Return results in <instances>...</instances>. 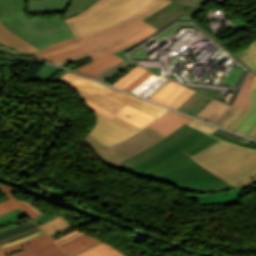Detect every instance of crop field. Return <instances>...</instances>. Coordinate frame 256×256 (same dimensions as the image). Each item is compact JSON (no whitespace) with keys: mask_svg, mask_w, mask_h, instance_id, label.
<instances>
[{"mask_svg":"<svg viewBox=\"0 0 256 256\" xmlns=\"http://www.w3.org/2000/svg\"><path fill=\"white\" fill-rule=\"evenodd\" d=\"M80 234H82V232H80L78 230H75V231H73V232H71V233H69V234H67V235H65V236H63V237H61L57 240H54V241L59 245V244H61L63 242H66V241H68V240H70V239H72V238H74V237H76Z\"/></svg>","mask_w":256,"mask_h":256,"instance_id":"crop-field-47","label":"crop field"},{"mask_svg":"<svg viewBox=\"0 0 256 256\" xmlns=\"http://www.w3.org/2000/svg\"><path fill=\"white\" fill-rule=\"evenodd\" d=\"M56 216H58V215L49 216V215L45 214V215H43V216H41V217H39V218H37L33 221L36 222L38 225H40V224H42V223H44V222H46V221H48V220H50V219H52Z\"/></svg>","mask_w":256,"mask_h":256,"instance_id":"crop-field-53","label":"crop field"},{"mask_svg":"<svg viewBox=\"0 0 256 256\" xmlns=\"http://www.w3.org/2000/svg\"><path fill=\"white\" fill-rule=\"evenodd\" d=\"M112 0H98L97 2H95L93 5H91L89 8H87L86 10H84L82 13L71 17V18H67L65 19L66 23L74 21L76 19L85 17L93 12H95L96 10L106 6L108 3H110Z\"/></svg>","mask_w":256,"mask_h":256,"instance_id":"crop-field-35","label":"crop field"},{"mask_svg":"<svg viewBox=\"0 0 256 256\" xmlns=\"http://www.w3.org/2000/svg\"><path fill=\"white\" fill-rule=\"evenodd\" d=\"M192 120V118L183 116L169 110L161 118H159L148 127L152 128L153 130L166 137L183 123L186 122L189 124Z\"/></svg>","mask_w":256,"mask_h":256,"instance_id":"crop-field-16","label":"crop field"},{"mask_svg":"<svg viewBox=\"0 0 256 256\" xmlns=\"http://www.w3.org/2000/svg\"><path fill=\"white\" fill-rule=\"evenodd\" d=\"M184 88L185 86L183 85H180L176 82L169 81L149 98L154 99L167 106L169 102L174 97H176Z\"/></svg>","mask_w":256,"mask_h":256,"instance_id":"crop-field-22","label":"crop field"},{"mask_svg":"<svg viewBox=\"0 0 256 256\" xmlns=\"http://www.w3.org/2000/svg\"><path fill=\"white\" fill-rule=\"evenodd\" d=\"M175 1H180V2H183V3H186V4L202 6L208 0H175ZM213 1H215V0H213Z\"/></svg>","mask_w":256,"mask_h":256,"instance_id":"crop-field-51","label":"crop field"},{"mask_svg":"<svg viewBox=\"0 0 256 256\" xmlns=\"http://www.w3.org/2000/svg\"><path fill=\"white\" fill-rule=\"evenodd\" d=\"M94 113L97 116V123L89 134L107 146L113 145L141 130L115 115L110 120L95 111Z\"/></svg>","mask_w":256,"mask_h":256,"instance_id":"crop-field-9","label":"crop field"},{"mask_svg":"<svg viewBox=\"0 0 256 256\" xmlns=\"http://www.w3.org/2000/svg\"><path fill=\"white\" fill-rule=\"evenodd\" d=\"M242 109L238 108L236 112L228 119V121L223 125V127H227L229 123L237 116V114L241 111Z\"/></svg>","mask_w":256,"mask_h":256,"instance_id":"crop-field-57","label":"crop field"},{"mask_svg":"<svg viewBox=\"0 0 256 256\" xmlns=\"http://www.w3.org/2000/svg\"><path fill=\"white\" fill-rule=\"evenodd\" d=\"M211 135H213V136H215V137H218V138H220V139H225V140H227V141H229V142H235V143H238V144L246 145V144H244V143H241V142L236 141V140H234V139L228 138V137L223 136V135H221V134H218V133H216V132H214V133L211 134ZM246 146H248V145H246Z\"/></svg>","mask_w":256,"mask_h":256,"instance_id":"crop-field-54","label":"crop field"},{"mask_svg":"<svg viewBox=\"0 0 256 256\" xmlns=\"http://www.w3.org/2000/svg\"><path fill=\"white\" fill-rule=\"evenodd\" d=\"M24 216H26V214L21 212L19 214H16V215H13L11 217H8V218H5L3 220H0V227L5 225V224H7V223H9V222H12V221H15L17 219H20V218H22Z\"/></svg>","mask_w":256,"mask_h":256,"instance_id":"crop-field-48","label":"crop field"},{"mask_svg":"<svg viewBox=\"0 0 256 256\" xmlns=\"http://www.w3.org/2000/svg\"><path fill=\"white\" fill-rule=\"evenodd\" d=\"M1 23L6 26L8 29H10L12 32L16 33L17 35L21 36L25 40H27L29 43H34L38 39L33 37L31 34H29L26 30H24L18 23H16L10 16L6 17H0ZM15 34V35H16ZM20 37V38H21ZM23 39V40H24Z\"/></svg>","mask_w":256,"mask_h":256,"instance_id":"crop-field-29","label":"crop field"},{"mask_svg":"<svg viewBox=\"0 0 256 256\" xmlns=\"http://www.w3.org/2000/svg\"><path fill=\"white\" fill-rule=\"evenodd\" d=\"M246 136L256 139V123L254 126L248 131Z\"/></svg>","mask_w":256,"mask_h":256,"instance_id":"crop-field-56","label":"crop field"},{"mask_svg":"<svg viewBox=\"0 0 256 256\" xmlns=\"http://www.w3.org/2000/svg\"><path fill=\"white\" fill-rule=\"evenodd\" d=\"M256 122V77L245 110L230 123L227 129L245 135Z\"/></svg>","mask_w":256,"mask_h":256,"instance_id":"crop-field-13","label":"crop field"},{"mask_svg":"<svg viewBox=\"0 0 256 256\" xmlns=\"http://www.w3.org/2000/svg\"><path fill=\"white\" fill-rule=\"evenodd\" d=\"M99 239L82 234L66 243H63L59 245L65 252H67L69 255L98 241Z\"/></svg>","mask_w":256,"mask_h":256,"instance_id":"crop-field-26","label":"crop field"},{"mask_svg":"<svg viewBox=\"0 0 256 256\" xmlns=\"http://www.w3.org/2000/svg\"><path fill=\"white\" fill-rule=\"evenodd\" d=\"M102 243L103 242L100 240V241H98V242H96V243H94V244H92V245H90V246H88V247H86V248H84V249H82V250H80V251L70 255V256H78V255H80V254H82V253H84V252H86V251H88V250H90V249H92V248L102 244Z\"/></svg>","mask_w":256,"mask_h":256,"instance_id":"crop-field-52","label":"crop field"},{"mask_svg":"<svg viewBox=\"0 0 256 256\" xmlns=\"http://www.w3.org/2000/svg\"><path fill=\"white\" fill-rule=\"evenodd\" d=\"M29 33L40 39L32 44L39 50L58 41L74 37L68 25L59 17H33L27 19L24 13L11 15Z\"/></svg>","mask_w":256,"mask_h":256,"instance_id":"crop-field-6","label":"crop field"},{"mask_svg":"<svg viewBox=\"0 0 256 256\" xmlns=\"http://www.w3.org/2000/svg\"><path fill=\"white\" fill-rule=\"evenodd\" d=\"M0 42L30 54H34L37 51H39L38 49L33 47L31 44H29L19 36L9 31L1 23H0Z\"/></svg>","mask_w":256,"mask_h":256,"instance_id":"crop-field-18","label":"crop field"},{"mask_svg":"<svg viewBox=\"0 0 256 256\" xmlns=\"http://www.w3.org/2000/svg\"><path fill=\"white\" fill-rule=\"evenodd\" d=\"M243 194V188L220 194L188 195L190 200L197 199L200 204L225 203L235 201Z\"/></svg>","mask_w":256,"mask_h":256,"instance_id":"crop-field-21","label":"crop field"},{"mask_svg":"<svg viewBox=\"0 0 256 256\" xmlns=\"http://www.w3.org/2000/svg\"><path fill=\"white\" fill-rule=\"evenodd\" d=\"M123 60L124 59L112 54L104 59H101L97 62L87 65V66L80 68L76 71L94 78L97 75L104 72L105 70L109 69L110 67L116 65L117 63H119Z\"/></svg>","mask_w":256,"mask_h":256,"instance_id":"crop-field-19","label":"crop field"},{"mask_svg":"<svg viewBox=\"0 0 256 256\" xmlns=\"http://www.w3.org/2000/svg\"><path fill=\"white\" fill-rule=\"evenodd\" d=\"M115 115L123 118L124 120L132 123L133 125L141 129L156 119L127 105H125Z\"/></svg>","mask_w":256,"mask_h":256,"instance_id":"crop-field-20","label":"crop field"},{"mask_svg":"<svg viewBox=\"0 0 256 256\" xmlns=\"http://www.w3.org/2000/svg\"><path fill=\"white\" fill-rule=\"evenodd\" d=\"M80 256H126L123 252L110 246L109 244H102Z\"/></svg>","mask_w":256,"mask_h":256,"instance_id":"crop-field-30","label":"crop field"},{"mask_svg":"<svg viewBox=\"0 0 256 256\" xmlns=\"http://www.w3.org/2000/svg\"><path fill=\"white\" fill-rule=\"evenodd\" d=\"M18 208V206L11 200H7L0 203V215L3 213H6L8 211H11L13 209Z\"/></svg>","mask_w":256,"mask_h":256,"instance_id":"crop-field-43","label":"crop field"},{"mask_svg":"<svg viewBox=\"0 0 256 256\" xmlns=\"http://www.w3.org/2000/svg\"><path fill=\"white\" fill-rule=\"evenodd\" d=\"M171 3L168 0H114L95 13L68 23L77 39H82L140 18L145 19Z\"/></svg>","mask_w":256,"mask_h":256,"instance_id":"crop-field-1","label":"crop field"},{"mask_svg":"<svg viewBox=\"0 0 256 256\" xmlns=\"http://www.w3.org/2000/svg\"><path fill=\"white\" fill-rule=\"evenodd\" d=\"M210 99L211 97L196 91L178 110L194 116Z\"/></svg>","mask_w":256,"mask_h":256,"instance_id":"crop-field-24","label":"crop field"},{"mask_svg":"<svg viewBox=\"0 0 256 256\" xmlns=\"http://www.w3.org/2000/svg\"><path fill=\"white\" fill-rule=\"evenodd\" d=\"M101 93H103L111 98H114L124 104H127L131 107H134L140 111L150 114L156 118H158L161 114H163L165 111H167V108H163L156 104H152V103L140 100L138 98H135L133 96H130L128 94H125L123 92L115 90L113 88H110L108 86H106L101 91Z\"/></svg>","mask_w":256,"mask_h":256,"instance_id":"crop-field-14","label":"crop field"},{"mask_svg":"<svg viewBox=\"0 0 256 256\" xmlns=\"http://www.w3.org/2000/svg\"><path fill=\"white\" fill-rule=\"evenodd\" d=\"M15 13L25 11V0H13Z\"/></svg>","mask_w":256,"mask_h":256,"instance_id":"crop-field-49","label":"crop field"},{"mask_svg":"<svg viewBox=\"0 0 256 256\" xmlns=\"http://www.w3.org/2000/svg\"><path fill=\"white\" fill-rule=\"evenodd\" d=\"M227 0H216L217 3L219 4H224Z\"/></svg>","mask_w":256,"mask_h":256,"instance_id":"crop-field-61","label":"crop field"},{"mask_svg":"<svg viewBox=\"0 0 256 256\" xmlns=\"http://www.w3.org/2000/svg\"><path fill=\"white\" fill-rule=\"evenodd\" d=\"M23 203H25L29 208H31L35 213H37L39 216L44 214L39 209H37L35 206H33L31 203H29L27 200L23 199L21 200Z\"/></svg>","mask_w":256,"mask_h":256,"instance_id":"crop-field-55","label":"crop field"},{"mask_svg":"<svg viewBox=\"0 0 256 256\" xmlns=\"http://www.w3.org/2000/svg\"><path fill=\"white\" fill-rule=\"evenodd\" d=\"M70 224V223H69ZM65 219L60 215L42 225L40 227L45 230L49 235L58 232L62 229H65L71 225H69Z\"/></svg>","mask_w":256,"mask_h":256,"instance_id":"crop-field-31","label":"crop field"},{"mask_svg":"<svg viewBox=\"0 0 256 256\" xmlns=\"http://www.w3.org/2000/svg\"><path fill=\"white\" fill-rule=\"evenodd\" d=\"M19 212H21L20 208H19V210L16 209V210H13V211H11V212H8V213H6V214L1 215V216H0V219H3V218H5V217L11 216V215L16 214V213H19Z\"/></svg>","mask_w":256,"mask_h":256,"instance_id":"crop-field-58","label":"crop field"},{"mask_svg":"<svg viewBox=\"0 0 256 256\" xmlns=\"http://www.w3.org/2000/svg\"><path fill=\"white\" fill-rule=\"evenodd\" d=\"M188 124H183L181 127L172 132L169 136L164 138L150 149L129 157L123 161L122 164L112 166L133 173H137L181 150L184 147L197 140L205 133L193 129Z\"/></svg>","mask_w":256,"mask_h":256,"instance_id":"crop-field-4","label":"crop field"},{"mask_svg":"<svg viewBox=\"0 0 256 256\" xmlns=\"http://www.w3.org/2000/svg\"><path fill=\"white\" fill-rule=\"evenodd\" d=\"M156 31L158 30L138 19L124 27L120 25L98 35L79 40V43L88 52L90 57L97 61L119 49L146 38ZM94 61H90L80 67Z\"/></svg>","mask_w":256,"mask_h":256,"instance_id":"crop-field-3","label":"crop field"},{"mask_svg":"<svg viewBox=\"0 0 256 256\" xmlns=\"http://www.w3.org/2000/svg\"><path fill=\"white\" fill-rule=\"evenodd\" d=\"M146 69L136 66L118 81H116L113 86L124 89L127 85H129L135 78H137L141 73H143Z\"/></svg>","mask_w":256,"mask_h":256,"instance_id":"crop-field-33","label":"crop field"},{"mask_svg":"<svg viewBox=\"0 0 256 256\" xmlns=\"http://www.w3.org/2000/svg\"><path fill=\"white\" fill-rule=\"evenodd\" d=\"M82 52H85V50L82 48V46H77V47L71 48L69 50H66L64 52L51 55V56L45 58L44 60L54 62V61H57V60H60V59H63V58H66V57H69L72 55H76V54H79Z\"/></svg>","mask_w":256,"mask_h":256,"instance_id":"crop-field-37","label":"crop field"},{"mask_svg":"<svg viewBox=\"0 0 256 256\" xmlns=\"http://www.w3.org/2000/svg\"><path fill=\"white\" fill-rule=\"evenodd\" d=\"M69 0H31L28 11H63Z\"/></svg>","mask_w":256,"mask_h":256,"instance_id":"crop-field-23","label":"crop field"},{"mask_svg":"<svg viewBox=\"0 0 256 256\" xmlns=\"http://www.w3.org/2000/svg\"><path fill=\"white\" fill-rule=\"evenodd\" d=\"M195 91L185 88L175 99H173L168 107L177 109L188 97H190Z\"/></svg>","mask_w":256,"mask_h":256,"instance_id":"crop-field-39","label":"crop field"},{"mask_svg":"<svg viewBox=\"0 0 256 256\" xmlns=\"http://www.w3.org/2000/svg\"><path fill=\"white\" fill-rule=\"evenodd\" d=\"M85 142L89 147L96 153L97 157L105 164L107 167L120 164V162L112 155V153L102 144L97 142L90 136H87Z\"/></svg>","mask_w":256,"mask_h":256,"instance_id":"crop-field-25","label":"crop field"},{"mask_svg":"<svg viewBox=\"0 0 256 256\" xmlns=\"http://www.w3.org/2000/svg\"><path fill=\"white\" fill-rule=\"evenodd\" d=\"M77 45H80V44L78 43V41L74 37V38H71V39H67V40L55 43V44L37 52L34 55L39 57V58H45V57H47L51 54L64 51L66 49H69V48L77 46Z\"/></svg>","mask_w":256,"mask_h":256,"instance_id":"crop-field-27","label":"crop field"},{"mask_svg":"<svg viewBox=\"0 0 256 256\" xmlns=\"http://www.w3.org/2000/svg\"><path fill=\"white\" fill-rule=\"evenodd\" d=\"M249 148L256 150V142L252 140V142H251Z\"/></svg>","mask_w":256,"mask_h":256,"instance_id":"crop-field-60","label":"crop field"},{"mask_svg":"<svg viewBox=\"0 0 256 256\" xmlns=\"http://www.w3.org/2000/svg\"><path fill=\"white\" fill-rule=\"evenodd\" d=\"M129 64H131V62L125 60L121 63H119L118 65L110 68L109 70H107L106 72L102 73L101 75H99L98 77H96L95 79L100 80L102 82L106 81L107 79H109L110 77H112L114 74L118 73L120 70H122L123 68L127 67ZM126 65V66H124Z\"/></svg>","mask_w":256,"mask_h":256,"instance_id":"crop-field-38","label":"crop field"},{"mask_svg":"<svg viewBox=\"0 0 256 256\" xmlns=\"http://www.w3.org/2000/svg\"><path fill=\"white\" fill-rule=\"evenodd\" d=\"M149 179L187 191H208L232 186L198 163Z\"/></svg>","mask_w":256,"mask_h":256,"instance_id":"crop-field-5","label":"crop field"},{"mask_svg":"<svg viewBox=\"0 0 256 256\" xmlns=\"http://www.w3.org/2000/svg\"><path fill=\"white\" fill-rule=\"evenodd\" d=\"M44 233L32 221L20 224L8 230L0 232V247H6L14 243L29 239ZM11 242V244H9Z\"/></svg>","mask_w":256,"mask_h":256,"instance_id":"crop-field-15","label":"crop field"},{"mask_svg":"<svg viewBox=\"0 0 256 256\" xmlns=\"http://www.w3.org/2000/svg\"><path fill=\"white\" fill-rule=\"evenodd\" d=\"M202 9L173 2L143 21L159 30L186 13L191 16Z\"/></svg>","mask_w":256,"mask_h":256,"instance_id":"crop-field-12","label":"crop field"},{"mask_svg":"<svg viewBox=\"0 0 256 256\" xmlns=\"http://www.w3.org/2000/svg\"><path fill=\"white\" fill-rule=\"evenodd\" d=\"M150 71H145L143 74H141L137 79H135L129 86L125 88V90L131 92L134 90L138 85H140L144 80H146L150 75H152Z\"/></svg>","mask_w":256,"mask_h":256,"instance_id":"crop-field-40","label":"crop field"},{"mask_svg":"<svg viewBox=\"0 0 256 256\" xmlns=\"http://www.w3.org/2000/svg\"><path fill=\"white\" fill-rule=\"evenodd\" d=\"M255 75L250 70L232 105L244 109Z\"/></svg>","mask_w":256,"mask_h":256,"instance_id":"crop-field-28","label":"crop field"},{"mask_svg":"<svg viewBox=\"0 0 256 256\" xmlns=\"http://www.w3.org/2000/svg\"><path fill=\"white\" fill-rule=\"evenodd\" d=\"M78 99L81 100L87 107H90L91 109H93V110H95V111H97V112H99V113L109 117L110 119L112 118L113 114H111V113H109V112H107V111L97 107L96 105L88 102L87 100L81 98L80 96H79Z\"/></svg>","mask_w":256,"mask_h":256,"instance_id":"crop-field-44","label":"crop field"},{"mask_svg":"<svg viewBox=\"0 0 256 256\" xmlns=\"http://www.w3.org/2000/svg\"><path fill=\"white\" fill-rule=\"evenodd\" d=\"M256 72V40L245 50L237 53Z\"/></svg>","mask_w":256,"mask_h":256,"instance_id":"crop-field-32","label":"crop field"},{"mask_svg":"<svg viewBox=\"0 0 256 256\" xmlns=\"http://www.w3.org/2000/svg\"><path fill=\"white\" fill-rule=\"evenodd\" d=\"M230 106L212 98L195 117L215 123Z\"/></svg>","mask_w":256,"mask_h":256,"instance_id":"crop-field-17","label":"crop field"},{"mask_svg":"<svg viewBox=\"0 0 256 256\" xmlns=\"http://www.w3.org/2000/svg\"><path fill=\"white\" fill-rule=\"evenodd\" d=\"M0 49L4 50V51H6V52H9V53H11V54H14V55L20 54V53H18V52H16V51L10 50V49L5 48V47H2V46H0Z\"/></svg>","mask_w":256,"mask_h":256,"instance_id":"crop-field-59","label":"crop field"},{"mask_svg":"<svg viewBox=\"0 0 256 256\" xmlns=\"http://www.w3.org/2000/svg\"><path fill=\"white\" fill-rule=\"evenodd\" d=\"M216 132L221 133V134H223V135H226V136H228V137L234 138V139L239 140V141H241V142H244V143H246V144H249L250 141H251V140H249V139H247V138L238 136V135H236V134L230 133V132L225 131V130H222V129H220V128H218V129L216 130Z\"/></svg>","mask_w":256,"mask_h":256,"instance_id":"crop-field-45","label":"crop field"},{"mask_svg":"<svg viewBox=\"0 0 256 256\" xmlns=\"http://www.w3.org/2000/svg\"><path fill=\"white\" fill-rule=\"evenodd\" d=\"M0 188L25 212L31 219L38 217L31 209H29L25 204L20 200L18 201L11 193H15V190L12 187L0 184Z\"/></svg>","mask_w":256,"mask_h":256,"instance_id":"crop-field-34","label":"crop field"},{"mask_svg":"<svg viewBox=\"0 0 256 256\" xmlns=\"http://www.w3.org/2000/svg\"><path fill=\"white\" fill-rule=\"evenodd\" d=\"M218 141L220 140L206 134L200 139H198L197 141L193 142L192 144L184 148L185 149L184 151L168 159H165L135 175L141 176L143 178H149L155 175H159L165 172H169L172 170H176V169L194 164L196 162L193 159H191L189 156L205 149L206 147Z\"/></svg>","mask_w":256,"mask_h":256,"instance_id":"crop-field-7","label":"crop field"},{"mask_svg":"<svg viewBox=\"0 0 256 256\" xmlns=\"http://www.w3.org/2000/svg\"><path fill=\"white\" fill-rule=\"evenodd\" d=\"M191 158L234 186L256 180V151L220 141Z\"/></svg>","mask_w":256,"mask_h":256,"instance_id":"crop-field-2","label":"crop field"},{"mask_svg":"<svg viewBox=\"0 0 256 256\" xmlns=\"http://www.w3.org/2000/svg\"><path fill=\"white\" fill-rule=\"evenodd\" d=\"M0 256H4V253L1 251V249H0Z\"/></svg>","mask_w":256,"mask_h":256,"instance_id":"crop-field-62","label":"crop field"},{"mask_svg":"<svg viewBox=\"0 0 256 256\" xmlns=\"http://www.w3.org/2000/svg\"><path fill=\"white\" fill-rule=\"evenodd\" d=\"M95 1L97 0H74L65 18L80 13Z\"/></svg>","mask_w":256,"mask_h":256,"instance_id":"crop-field-36","label":"crop field"},{"mask_svg":"<svg viewBox=\"0 0 256 256\" xmlns=\"http://www.w3.org/2000/svg\"><path fill=\"white\" fill-rule=\"evenodd\" d=\"M163 138L164 137L146 127L129 139L109 147L108 149L120 161L153 146Z\"/></svg>","mask_w":256,"mask_h":256,"instance_id":"crop-field-11","label":"crop field"},{"mask_svg":"<svg viewBox=\"0 0 256 256\" xmlns=\"http://www.w3.org/2000/svg\"><path fill=\"white\" fill-rule=\"evenodd\" d=\"M14 13L12 0H0V15Z\"/></svg>","mask_w":256,"mask_h":256,"instance_id":"crop-field-41","label":"crop field"},{"mask_svg":"<svg viewBox=\"0 0 256 256\" xmlns=\"http://www.w3.org/2000/svg\"><path fill=\"white\" fill-rule=\"evenodd\" d=\"M256 251V250H255Z\"/></svg>","mask_w":256,"mask_h":256,"instance_id":"crop-field-63","label":"crop field"},{"mask_svg":"<svg viewBox=\"0 0 256 256\" xmlns=\"http://www.w3.org/2000/svg\"><path fill=\"white\" fill-rule=\"evenodd\" d=\"M236 109L237 107L231 106L215 124L222 126L226 120L235 112Z\"/></svg>","mask_w":256,"mask_h":256,"instance_id":"crop-field-46","label":"crop field"},{"mask_svg":"<svg viewBox=\"0 0 256 256\" xmlns=\"http://www.w3.org/2000/svg\"><path fill=\"white\" fill-rule=\"evenodd\" d=\"M59 81H63L71 85L72 88L78 90V92L81 94V97L114 114L124 106V104L99 93L105 87V85L100 83L94 82L68 71H66L63 77L57 82Z\"/></svg>","mask_w":256,"mask_h":256,"instance_id":"crop-field-8","label":"crop field"},{"mask_svg":"<svg viewBox=\"0 0 256 256\" xmlns=\"http://www.w3.org/2000/svg\"><path fill=\"white\" fill-rule=\"evenodd\" d=\"M87 55H88L87 52H85V53H82V54H79V55H76V56H73V57H69V58H66V59H63V60L54 62V63H57V64H59V65H62V64H64V63H66V62L72 61V60H74V59L82 58V57H85V56H87Z\"/></svg>","mask_w":256,"mask_h":256,"instance_id":"crop-field-50","label":"crop field"},{"mask_svg":"<svg viewBox=\"0 0 256 256\" xmlns=\"http://www.w3.org/2000/svg\"><path fill=\"white\" fill-rule=\"evenodd\" d=\"M190 125H192V126L198 128V129H200V130H202V131H205V132H207V133H209V134H211L212 132H214V131L217 129V127H214V126H212V125L206 124V123L201 122V121H198V120H196V119H194V120L190 123Z\"/></svg>","mask_w":256,"mask_h":256,"instance_id":"crop-field-42","label":"crop field"},{"mask_svg":"<svg viewBox=\"0 0 256 256\" xmlns=\"http://www.w3.org/2000/svg\"><path fill=\"white\" fill-rule=\"evenodd\" d=\"M6 256H67L46 234L3 248Z\"/></svg>","mask_w":256,"mask_h":256,"instance_id":"crop-field-10","label":"crop field"}]
</instances>
